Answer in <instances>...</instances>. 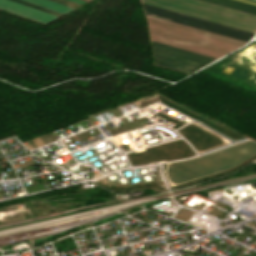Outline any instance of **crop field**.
I'll use <instances>...</instances> for the list:
<instances>
[{
    "label": "crop field",
    "instance_id": "28ad6ade",
    "mask_svg": "<svg viewBox=\"0 0 256 256\" xmlns=\"http://www.w3.org/2000/svg\"><path fill=\"white\" fill-rule=\"evenodd\" d=\"M72 1H75V2H78V3H81V4L86 2V1H83V0H72Z\"/></svg>",
    "mask_w": 256,
    "mask_h": 256
},
{
    "label": "crop field",
    "instance_id": "e52e79f7",
    "mask_svg": "<svg viewBox=\"0 0 256 256\" xmlns=\"http://www.w3.org/2000/svg\"><path fill=\"white\" fill-rule=\"evenodd\" d=\"M204 1L256 14V6L246 4L243 2H239L235 0H204Z\"/></svg>",
    "mask_w": 256,
    "mask_h": 256
},
{
    "label": "crop field",
    "instance_id": "ac0d7876",
    "mask_svg": "<svg viewBox=\"0 0 256 256\" xmlns=\"http://www.w3.org/2000/svg\"><path fill=\"white\" fill-rule=\"evenodd\" d=\"M254 159L256 143L247 140L191 160L171 163L167 174L171 182L180 183Z\"/></svg>",
    "mask_w": 256,
    "mask_h": 256
},
{
    "label": "crop field",
    "instance_id": "d1516ede",
    "mask_svg": "<svg viewBox=\"0 0 256 256\" xmlns=\"http://www.w3.org/2000/svg\"><path fill=\"white\" fill-rule=\"evenodd\" d=\"M240 1H243V2H247V3H251V4H255V5H256V3H252V2H249V1H245V0H240Z\"/></svg>",
    "mask_w": 256,
    "mask_h": 256
},
{
    "label": "crop field",
    "instance_id": "dd49c442",
    "mask_svg": "<svg viewBox=\"0 0 256 256\" xmlns=\"http://www.w3.org/2000/svg\"><path fill=\"white\" fill-rule=\"evenodd\" d=\"M0 8L43 23H47L58 17L10 0H0Z\"/></svg>",
    "mask_w": 256,
    "mask_h": 256
},
{
    "label": "crop field",
    "instance_id": "3316defc",
    "mask_svg": "<svg viewBox=\"0 0 256 256\" xmlns=\"http://www.w3.org/2000/svg\"><path fill=\"white\" fill-rule=\"evenodd\" d=\"M52 1L61 3V4H64V5L73 7V8H76V7L81 5V4H78V3H75V2H72V1H69V0H52Z\"/></svg>",
    "mask_w": 256,
    "mask_h": 256
},
{
    "label": "crop field",
    "instance_id": "412701ff",
    "mask_svg": "<svg viewBox=\"0 0 256 256\" xmlns=\"http://www.w3.org/2000/svg\"><path fill=\"white\" fill-rule=\"evenodd\" d=\"M154 65L184 74H191L216 60V58L153 42Z\"/></svg>",
    "mask_w": 256,
    "mask_h": 256
},
{
    "label": "crop field",
    "instance_id": "d8731c3e",
    "mask_svg": "<svg viewBox=\"0 0 256 256\" xmlns=\"http://www.w3.org/2000/svg\"><path fill=\"white\" fill-rule=\"evenodd\" d=\"M25 1L34 3L36 5H39V6L63 13V14H65L73 9V8H70V7L49 1V0H25Z\"/></svg>",
    "mask_w": 256,
    "mask_h": 256
},
{
    "label": "crop field",
    "instance_id": "22f410ed",
    "mask_svg": "<svg viewBox=\"0 0 256 256\" xmlns=\"http://www.w3.org/2000/svg\"><path fill=\"white\" fill-rule=\"evenodd\" d=\"M249 1L256 2V0H249Z\"/></svg>",
    "mask_w": 256,
    "mask_h": 256
},
{
    "label": "crop field",
    "instance_id": "34b2d1b8",
    "mask_svg": "<svg viewBox=\"0 0 256 256\" xmlns=\"http://www.w3.org/2000/svg\"><path fill=\"white\" fill-rule=\"evenodd\" d=\"M143 3L256 33V15L200 0H141Z\"/></svg>",
    "mask_w": 256,
    "mask_h": 256
},
{
    "label": "crop field",
    "instance_id": "f4fd0767",
    "mask_svg": "<svg viewBox=\"0 0 256 256\" xmlns=\"http://www.w3.org/2000/svg\"><path fill=\"white\" fill-rule=\"evenodd\" d=\"M143 4V3H142ZM144 12L147 15L155 16L158 18L166 19L176 23L184 24L187 26L195 27L198 29L206 30L209 32L217 33L227 37L235 38L238 40L248 42L254 33L246 32L243 30L235 29L232 27L224 26L221 24L213 23L210 21L198 19L195 17L187 16L184 14L176 13L173 11L165 10L162 8L154 7L151 5L143 4Z\"/></svg>",
    "mask_w": 256,
    "mask_h": 256
},
{
    "label": "crop field",
    "instance_id": "5a996713",
    "mask_svg": "<svg viewBox=\"0 0 256 256\" xmlns=\"http://www.w3.org/2000/svg\"><path fill=\"white\" fill-rule=\"evenodd\" d=\"M13 1H16V2H19V3L25 4V5L31 6V7H34V8L43 10V11H46V12H49V13H52V14H55V15H58V16L63 15V14H60V13H57V12H54V11H51V10H48V9L36 6V5H33L31 3H28V2H25V1H22V0H13Z\"/></svg>",
    "mask_w": 256,
    "mask_h": 256
},
{
    "label": "crop field",
    "instance_id": "cbeb9de0",
    "mask_svg": "<svg viewBox=\"0 0 256 256\" xmlns=\"http://www.w3.org/2000/svg\"><path fill=\"white\" fill-rule=\"evenodd\" d=\"M86 1H89V0H86Z\"/></svg>",
    "mask_w": 256,
    "mask_h": 256
},
{
    "label": "crop field",
    "instance_id": "8a807250",
    "mask_svg": "<svg viewBox=\"0 0 256 256\" xmlns=\"http://www.w3.org/2000/svg\"><path fill=\"white\" fill-rule=\"evenodd\" d=\"M147 19L151 40L216 58L246 43L151 16Z\"/></svg>",
    "mask_w": 256,
    "mask_h": 256
}]
</instances>
